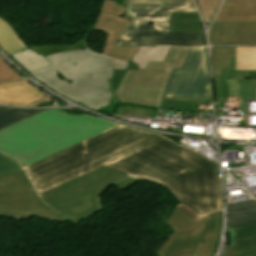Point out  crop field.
Listing matches in <instances>:
<instances>
[{"label":"crop field","instance_id":"120bbe31","mask_svg":"<svg viewBox=\"0 0 256 256\" xmlns=\"http://www.w3.org/2000/svg\"><path fill=\"white\" fill-rule=\"evenodd\" d=\"M248 78H256V71H249Z\"/></svg>","mask_w":256,"mask_h":256},{"label":"crop field","instance_id":"730fd06b","mask_svg":"<svg viewBox=\"0 0 256 256\" xmlns=\"http://www.w3.org/2000/svg\"><path fill=\"white\" fill-rule=\"evenodd\" d=\"M86 38H82L81 40L77 41L73 46H56V45H47V46H36L30 47L29 49L33 50L34 52L41 54L43 56L57 53V52H64V51H72L81 49L80 43Z\"/></svg>","mask_w":256,"mask_h":256},{"label":"crop field","instance_id":"f4fd0767","mask_svg":"<svg viewBox=\"0 0 256 256\" xmlns=\"http://www.w3.org/2000/svg\"><path fill=\"white\" fill-rule=\"evenodd\" d=\"M189 48L171 47L163 62L150 61L145 70H114L110 81L123 104L196 111V102L161 101L171 68H181ZM170 105V106H169Z\"/></svg>","mask_w":256,"mask_h":256},{"label":"crop field","instance_id":"e52e79f7","mask_svg":"<svg viewBox=\"0 0 256 256\" xmlns=\"http://www.w3.org/2000/svg\"><path fill=\"white\" fill-rule=\"evenodd\" d=\"M163 97L211 99L204 47L191 48L182 69H172Z\"/></svg>","mask_w":256,"mask_h":256},{"label":"crop field","instance_id":"1d83c4d3","mask_svg":"<svg viewBox=\"0 0 256 256\" xmlns=\"http://www.w3.org/2000/svg\"><path fill=\"white\" fill-rule=\"evenodd\" d=\"M162 100H186V101H198V102H211V100H196V99H172V98H163Z\"/></svg>","mask_w":256,"mask_h":256},{"label":"crop field","instance_id":"bd1437ed","mask_svg":"<svg viewBox=\"0 0 256 256\" xmlns=\"http://www.w3.org/2000/svg\"><path fill=\"white\" fill-rule=\"evenodd\" d=\"M136 181H138V180L129 178V179L123 181V182H120V183L114 185V186L117 187L118 189L122 190V189L128 187L129 185L133 184Z\"/></svg>","mask_w":256,"mask_h":256},{"label":"crop field","instance_id":"412701ff","mask_svg":"<svg viewBox=\"0 0 256 256\" xmlns=\"http://www.w3.org/2000/svg\"><path fill=\"white\" fill-rule=\"evenodd\" d=\"M171 12H197L194 0H124L123 18L131 20L115 46H205L204 33L168 32Z\"/></svg>","mask_w":256,"mask_h":256},{"label":"crop field","instance_id":"8a807250","mask_svg":"<svg viewBox=\"0 0 256 256\" xmlns=\"http://www.w3.org/2000/svg\"><path fill=\"white\" fill-rule=\"evenodd\" d=\"M102 166L165 185L199 215L222 209L218 163L160 135L122 126L45 158L25 171L40 194Z\"/></svg>","mask_w":256,"mask_h":256},{"label":"crop field","instance_id":"5a996713","mask_svg":"<svg viewBox=\"0 0 256 256\" xmlns=\"http://www.w3.org/2000/svg\"><path fill=\"white\" fill-rule=\"evenodd\" d=\"M0 201V218L24 221L36 217L61 223L71 221L47 207L33 189L0 192Z\"/></svg>","mask_w":256,"mask_h":256},{"label":"crop field","instance_id":"3316defc","mask_svg":"<svg viewBox=\"0 0 256 256\" xmlns=\"http://www.w3.org/2000/svg\"><path fill=\"white\" fill-rule=\"evenodd\" d=\"M122 16H124L122 5H116L113 1L104 0L100 14L95 22L94 29L108 33V39L102 54L129 62L140 46H112L129 23V20L121 19Z\"/></svg>","mask_w":256,"mask_h":256},{"label":"crop field","instance_id":"733c2abd","mask_svg":"<svg viewBox=\"0 0 256 256\" xmlns=\"http://www.w3.org/2000/svg\"><path fill=\"white\" fill-rule=\"evenodd\" d=\"M215 21L256 22V0H225Z\"/></svg>","mask_w":256,"mask_h":256},{"label":"crop field","instance_id":"d8731c3e","mask_svg":"<svg viewBox=\"0 0 256 256\" xmlns=\"http://www.w3.org/2000/svg\"><path fill=\"white\" fill-rule=\"evenodd\" d=\"M206 216L200 217L180 203L165 222L174 233L155 252V255L192 256L200 241Z\"/></svg>","mask_w":256,"mask_h":256},{"label":"crop field","instance_id":"ae1a2a85","mask_svg":"<svg viewBox=\"0 0 256 256\" xmlns=\"http://www.w3.org/2000/svg\"><path fill=\"white\" fill-rule=\"evenodd\" d=\"M23 77L7 65L0 57V84L22 79Z\"/></svg>","mask_w":256,"mask_h":256},{"label":"crop field","instance_id":"92a150f3","mask_svg":"<svg viewBox=\"0 0 256 256\" xmlns=\"http://www.w3.org/2000/svg\"><path fill=\"white\" fill-rule=\"evenodd\" d=\"M169 31L202 32L197 13H171Z\"/></svg>","mask_w":256,"mask_h":256},{"label":"crop field","instance_id":"d1516ede","mask_svg":"<svg viewBox=\"0 0 256 256\" xmlns=\"http://www.w3.org/2000/svg\"><path fill=\"white\" fill-rule=\"evenodd\" d=\"M215 85L216 109L223 106L222 103L236 102L245 118L246 99H256V79L215 80Z\"/></svg>","mask_w":256,"mask_h":256},{"label":"crop field","instance_id":"d3111659","mask_svg":"<svg viewBox=\"0 0 256 256\" xmlns=\"http://www.w3.org/2000/svg\"><path fill=\"white\" fill-rule=\"evenodd\" d=\"M123 115H131V116H140V117H148L151 118L152 110L151 108H144V107H135V106H128L123 105L122 107Z\"/></svg>","mask_w":256,"mask_h":256},{"label":"crop field","instance_id":"4177f3b9","mask_svg":"<svg viewBox=\"0 0 256 256\" xmlns=\"http://www.w3.org/2000/svg\"><path fill=\"white\" fill-rule=\"evenodd\" d=\"M235 70H256V47H236Z\"/></svg>","mask_w":256,"mask_h":256},{"label":"crop field","instance_id":"cbeb9de0","mask_svg":"<svg viewBox=\"0 0 256 256\" xmlns=\"http://www.w3.org/2000/svg\"><path fill=\"white\" fill-rule=\"evenodd\" d=\"M229 229V246L224 256H256V222Z\"/></svg>","mask_w":256,"mask_h":256},{"label":"crop field","instance_id":"22f410ed","mask_svg":"<svg viewBox=\"0 0 256 256\" xmlns=\"http://www.w3.org/2000/svg\"><path fill=\"white\" fill-rule=\"evenodd\" d=\"M50 101L25 79L0 85V103L21 106H38Z\"/></svg>","mask_w":256,"mask_h":256},{"label":"crop field","instance_id":"d32e631a","mask_svg":"<svg viewBox=\"0 0 256 256\" xmlns=\"http://www.w3.org/2000/svg\"><path fill=\"white\" fill-rule=\"evenodd\" d=\"M217 114H218V117H219V115H222V111L217 112Z\"/></svg>","mask_w":256,"mask_h":256},{"label":"crop field","instance_id":"34b2d1b8","mask_svg":"<svg viewBox=\"0 0 256 256\" xmlns=\"http://www.w3.org/2000/svg\"><path fill=\"white\" fill-rule=\"evenodd\" d=\"M84 40L82 49L45 58L50 67L31 72L51 89L89 108L107 106L111 93L107 79L112 68L106 56L92 51Z\"/></svg>","mask_w":256,"mask_h":256},{"label":"crop field","instance_id":"00972430","mask_svg":"<svg viewBox=\"0 0 256 256\" xmlns=\"http://www.w3.org/2000/svg\"><path fill=\"white\" fill-rule=\"evenodd\" d=\"M46 109H17L0 106V129Z\"/></svg>","mask_w":256,"mask_h":256},{"label":"crop field","instance_id":"dafd665d","mask_svg":"<svg viewBox=\"0 0 256 256\" xmlns=\"http://www.w3.org/2000/svg\"><path fill=\"white\" fill-rule=\"evenodd\" d=\"M0 46L10 55L28 49L3 20L0 21Z\"/></svg>","mask_w":256,"mask_h":256},{"label":"crop field","instance_id":"bc2a9ffb","mask_svg":"<svg viewBox=\"0 0 256 256\" xmlns=\"http://www.w3.org/2000/svg\"><path fill=\"white\" fill-rule=\"evenodd\" d=\"M228 226L256 221V201L227 205Z\"/></svg>","mask_w":256,"mask_h":256},{"label":"crop field","instance_id":"dd49c442","mask_svg":"<svg viewBox=\"0 0 256 256\" xmlns=\"http://www.w3.org/2000/svg\"><path fill=\"white\" fill-rule=\"evenodd\" d=\"M127 178L129 177L102 167L42 193L40 197L57 212L79 221L103 210L99 196L113 184Z\"/></svg>","mask_w":256,"mask_h":256},{"label":"crop field","instance_id":"eef30255","mask_svg":"<svg viewBox=\"0 0 256 256\" xmlns=\"http://www.w3.org/2000/svg\"><path fill=\"white\" fill-rule=\"evenodd\" d=\"M205 19L209 24L221 0H198Z\"/></svg>","mask_w":256,"mask_h":256},{"label":"crop field","instance_id":"ac0d7876","mask_svg":"<svg viewBox=\"0 0 256 256\" xmlns=\"http://www.w3.org/2000/svg\"><path fill=\"white\" fill-rule=\"evenodd\" d=\"M115 126L48 109L0 130V149L16 157L24 168Z\"/></svg>","mask_w":256,"mask_h":256},{"label":"crop field","instance_id":"214f88e0","mask_svg":"<svg viewBox=\"0 0 256 256\" xmlns=\"http://www.w3.org/2000/svg\"><path fill=\"white\" fill-rule=\"evenodd\" d=\"M169 49L170 46L140 47L131 60V63L136 64L133 69H145L149 60L163 61Z\"/></svg>","mask_w":256,"mask_h":256},{"label":"crop field","instance_id":"28ad6ade","mask_svg":"<svg viewBox=\"0 0 256 256\" xmlns=\"http://www.w3.org/2000/svg\"><path fill=\"white\" fill-rule=\"evenodd\" d=\"M208 37L212 45H256V23L214 22Z\"/></svg>","mask_w":256,"mask_h":256},{"label":"crop field","instance_id":"750c4746","mask_svg":"<svg viewBox=\"0 0 256 256\" xmlns=\"http://www.w3.org/2000/svg\"><path fill=\"white\" fill-rule=\"evenodd\" d=\"M107 59L110 62V64L113 66V69H126L129 64L128 62L110 58V57H108Z\"/></svg>","mask_w":256,"mask_h":256},{"label":"crop field","instance_id":"4a817a6b","mask_svg":"<svg viewBox=\"0 0 256 256\" xmlns=\"http://www.w3.org/2000/svg\"><path fill=\"white\" fill-rule=\"evenodd\" d=\"M221 222V211L207 216L200 244L193 256H212L217 243Z\"/></svg>","mask_w":256,"mask_h":256},{"label":"crop field","instance_id":"a9b5d70f","mask_svg":"<svg viewBox=\"0 0 256 256\" xmlns=\"http://www.w3.org/2000/svg\"><path fill=\"white\" fill-rule=\"evenodd\" d=\"M12 57L28 72L50 66L44 57L30 51L29 49L12 55Z\"/></svg>","mask_w":256,"mask_h":256},{"label":"crop field","instance_id":"d9b57169","mask_svg":"<svg viewBox=\"0 0 256 256\" xmlns=\"http://www.w3.org/2000/svg\"><path fill=\"white\" fill-rule=\"evenodd\" d=\"M214 79L247 78L248 71H234L235 47L211 48Z\"/></svg>","mask_w":256,"mask_h":256},{"label":"crop field","instance_id":"5142ce71","mask_svg":"<svg viewBox=\"0 0 256 256\" xmlns=\"http://www.w3.org/2000/svg\"><path fill=\"white\" fill-rule=\"evenodd\" d=\"M33 188L18 161L0 151V191Z\"/></svg>","mask_w":256,"mask_h":256}]
</instances>
